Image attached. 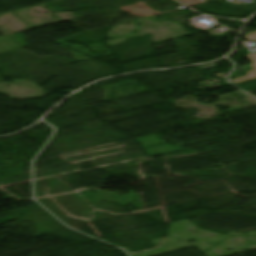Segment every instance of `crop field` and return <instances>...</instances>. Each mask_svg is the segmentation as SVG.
Listing matches in <instances>:
<instances>
[{"instance_id": "1", "label": "crop field", "mask_w": 256, "mask_h": 256, "mask_svg": "<svg viewBox=\"0 0 256 256\" xmlns=\"http://www.w3.org/2000/svg\"><path fill=\"white\" fill-rule=\"evenodd\" d=\"M246 57L253 62L251 64L253 70L248 71L247 72L248 76H246V77H242V78L232 80V82L234 84L244 82V81H248V80H252V79H256V53L248 54V55H246Z\"/></svg>"}, {"instance_id": "2", "label": "crop field", "mask_w": 256, "mask_h": 256, "mask_svg": "<svg viewBox=\"0 0 256 256\" xmlns=\"http://www.w3.org/2000/svg\"><path fill=\"white\" fill-rule=\"evenodd\" d=\"M244 39L247 41L256 42V32L246 35Z\"/></svg>"}]
</instances>
